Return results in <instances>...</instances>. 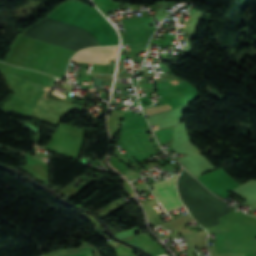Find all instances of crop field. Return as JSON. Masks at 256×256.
<instances>
[{
    "label": "crop field",
    "instance_id": "1",
    "mask_svg": "<svg viewBox=\"0 0 256 256\" xmlns=\"http://www.w3.org/2000/svg\"><path fill=\"white\" fill-rule=\"evenodd\" d=\"M176 178L177 177L153 183L155 189H152V191L167 211L183 206L177 195L175 184Z\"/></svg>",
    "mask_w": 256,
    "mask_h": 256
},
{
    "label": "crop field",
    "instance_id": "3",
    "mask_svg": "<svg viewBox=\"0 0 256 256\" xmlns=\"http://www.w3.org/2000/svg\"><path fill=\"white\" fill-rule=\"evenodd\" d=\"M172 84H178V82L176 80L171 81Z\"/></svg>",
    "mask_w": 256,
    "mask_h": 256
},
{
    "label": "crop field",
    "instance_id": "2",
    "mask_svg": "<svg viewBox=\"0 0 256 256\" xmlns=\"http://www.w3.org/2000/svg\"><path fill=\"white\" fill-rule=\"evenodd\" d=\"M171 107L169 106V104L167 105H164V106H160V107H150V108H146L144 109L146 114L149 115V114H155V113H159V112H162L166 109H170Z\"/></svg>",
    "mask_w": 256,
    "mask_h": 256
}]
</instances>
